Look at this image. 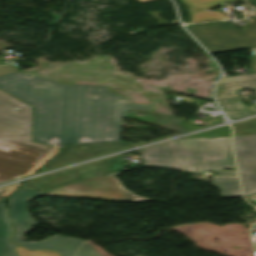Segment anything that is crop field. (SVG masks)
Segmentation results:
<instances>
[{
	"instance_id": "crop-field-6",
	"label": "crop field",
	"mask_w": 256,
	"mask_h": 256,
	"mask_svg": "<svg viewBox=\"0 0 256 256\" xmlns=\"http://www.w3.org/2000/svg\"><path fill=\"white\" fill-rule=\"evenodd\" d=\"M112 162L113 157L51 175L43 176L39 180L22 184V187L44 192L95 175L111 172Z\"/></svg>"
},
{
	"instance_id": "crop-field-13",
	"label": "crop field",
	"mask_w": 256,
	"mask_h": 256,
	"mask_svg": "<svg viewBox=\"0 0 256 256\" xmlns=\"http://www.w3.org/2000/svg\"><path fill=\"white\" fill-rule=\"evenodd\" d=\"M2 200L5 198H0V256H17L13 249L16 244L8 240L13 230Z\"/></svg>"
},
{
	"instance_id": "crop-field-24",
	"label": "crop field",
	"mask_w": 256,
	"mask_h": 256,
	"mask_svg": "<svg viewBox=\"0 0 256 256\" xmlns=\"http://www.w3.org/2000/svg\"><path fill=\"white\" fill-rule=\"evenodd\" d=\"M254 244H255V248H256V242Z\"/></svg>"
},
{
	"instance_id": "crop-field-14",
	"label": "crop field",
	"mask_w": 256,
	"mask_h": 256,
	"mask_svg": "<svg viewBox=\"0 0 256 256\" xmlns=\"http://www.w3.org/2000/svg\"><path fill=\"white\" fill-rule=\"evenodd\" d=\"M212 185L219 188L222 198L241 196L236 177H212Z\"/></svg>"
},
{
	"instance_id": "crop-field-3",
	"label": "crop field",
	"mask_w": 256,
	"mask_h": 256,
	"mask_svg": "<svg viewBox=\"0 0 256 256\" xmlns=\"http://www.w3.org/2000/svg\"><path fill=\"white\" fill-rule=\"evenodd\" d=\"M141 152L144 166L195 173L218 170V175H237L230 137L179 139ZM227 167L234 170L220 171Z\"/></svg>"
},
{
	"instance_id": "crop-field-9",
	"label": "crop field",
	"mask_w": 256,
	"mask_h": 256,
	"mask_svg": "<svg viewBox=\"0 0 256 256\" xmlns=\"http://www.w3.org/2000/svg\"><path fill=\"white\" fill-rule=\"evenodd\" d=\"M132 142H118L105 144H81V145H67L59 154L50 160L38 172L62 166L68 163L93 157L96 155L132 147ZM36 172V173H38Z\"/></svg>"
},
{
	"instance_id": "crop-field-2",
	"label": "crop field",
	"mask_w": 256,
	"mask_h": 256,
	"mask_svg": "<svg viewBox=\"0 0 256 256\" xmlns=\"http://www.w3.org/2000/svg\"><path fill=\"white\" fill-rule=\"evenodd\" d=\"M31 107L0 91V183L26 173L52 148L30 142Z\"/></svg>"
},
{
	"instance_id": "crop-field-17",
	"label": "crop field",
	"mask_w": 256,
	"mask_h": 256,
	"mask_svg": "<svg viewBox=\"0 0 256 256\" xmlns=\"http://www.w3.org/2000/svg\"><path fill=\"white\" fill-rule=\"evenodd\" d=\"M16 71L17 70L14 68L12 64L0 66V75L8 74Z\"/></svg>"
},
{
	"instance_id": "crop-field-12",
	"label": "crop field",
	"mask_w": 256,
	"mask_h": 256,
	"mask_svg": "<svg viewBox=\"0 0 256 256\" xmlns=\"http://www.w3.org/2000/svg\"><path fill=\"white\" fill-rule=\"evenodd\" d=\"M191 11L192 22H201L217 19H225L226 17L222 12L208 11V8H212L216 5L236 1V0H183Z\"/></svg>"
},
{
	"instance_id": "crop-field-21",
	"label": "crop field",
	"mask_w": 256,
	"mask_h": 256,
	"mask_svg": "<svg viewBox=\"0 0 256 256\" xmlns=\"http://www.w3.org/2000/svg\"><path fill=\"white\" fill-rule=\"evenodd\" d=\"M18 187H14L12 188L10 191H8L5 195H3L2 197H7L9 194H11L15 189H17Z\"/></svg>"
},
{
	"instance_id": "crop-field-16",
	"label": "crop field",
	"mask_w": 256,
	"mask_h": 256,
	"mask_svg": "<svg viewBox=\"0 0 256 256\" xmlns=\"http://www.w3.org/2000/svg\"><path fill=\"white\" fill-rule=\"evenodd\" d=\"M20 256H59L53 251H28L20 246L16 248Z\"/></svg>"
},
{
	"instance_id": "crop-field-8",
	"label": "crop field",
	"mask_w": 256,
	"mask_h": 256,
	"mask_svg": "<svg viewBox=\"0 0 256 256\" xmlns=\"http://www.w3.org/2000/svg\"><path fill=\"white\" fill-rule=\"evenodd\" d=\"M236 158L245 195L256 193V135L234 136Z\"/></svg>"
},
{
	"instance_id": "crop-field-7",
	"label": "crop field",
	"mask_w": 256,
	"mask_h": 256,
	"mask_svg": "<svg viewBox=\"0 0 256 256\" xmlns=\"http://www.w3.org/2000/svg\"><path fill=\"white\" fill-rule=\"evenodd\" d=\"M254 87L256 91V73L222 78L216 87V97L235 94V89ZM231 119L256 113V104L252 109L244 106L237 96L217 99ZM224 111V112H225Z\"/></svg>"
},
{
	"instance_id": "crop-field-5",
	"label": "crop field",
	"mask_w": 256,
	"mask_h": 256,
	"mask_svg": "<svg viewBox=\"0 0 256 256\" xmlns=\"http://www.w3.org/2000/svg\"><path fill=\"white\" fill-rule=\"evenodd\" d=\"M140 166L116 171L113 173L102 174L86 180H82L73 184H69L54 190L42 193L41 195L51 196H70L94 198L102 200H118V201H150L141 196L134 195L132 192L124 189L114 175L135 169Z\"/></svg>"
},
{
	"instance_id": "crop-field-23",
	"label": "crop field",
	"mask_w": 256,
	"mask_h": 256,
	"mask_svg": "<svg viewBox=\"0 0 256 256\" xmlns=\"http://www.w3.org/2000/svg\"><path fill=\"white\" fill-rule=\"evenodd\" d=\"M138 1L143 2V1H147V0H138Z\"/></svg>"
},
{
	"instance_id": "crop-field-11",
	"label": "crop field",
	"mask_w": 256,
	"mask_h": 256,
	"mask_svg": "<svg viewBox=\"0 0 256 256\" xmlns=\"http://www.w3.org/2000/svg\"><path fill=\"white\" fill-rule=\"evenodd\" d=\"M31 250L52 249L59 251L63 256H100L89 244L80 239L54 235L41 242L30 241L21 245Z\"/></svg>"
},
{
	"instance_id": "crop-field-10",
	"label": "crop field",
	"mask_w": 256,
	"mask_h": 256,
	"mask_svg": "<svg viewBox=\"0 0 256 256\" xmlns=\"http://www.w3.org/2000/svg\"><path fill=\"white\" fill-rule=\"evenodd\" d=\"M41 192L20 187L8 197L9 211L15 228L12 241L21 245L25 243L20 238L34 225L38 224L27 212V204Z\"/></svg>"
},
{
	"instance_id": "crop-field-22",
	"label": "crop field",
	"mask_w": 256,
	"mask_h": 256,
	"mask_svg": "<svg viewBox=\"0 0 256 256\" xmlns=\"http://www.w3.org/2000/svg\"><path fill=\"white\" fill-rule=\"evenodd\" d=\"M7 189H9V187H5V188L0 189V195H1L3 192H5Z\"/></svg>"
},
{
	"instance_id": "crop-field-15",
	"label": "crop field",
	"mask_w": 256,
	"mask_h": 256,
	"mask_svg": "<svg viewBox=\"0 0 256 256\" xmlns=\"http://www.w3.org/2000/svg\"><path fill=\"white\" fill-rule=\"evenodd\" d=\"M233 126L235 129L234 135L256 134V119Z\"/></svg>"
},
{
	"instance_id": "crop-field-19",
	"label": "crop field",
	"mask_w": 256,
	"mask_h": 256,
	"mask_svg": "<svg viewBox=\"0 0 256 256\" xmlns=\"http://www.w3.org/2000/svg\"><path fill=\"white\" fill-rule=\"evenodd\" d=\"M58 151V149L57 150H54L52 153H50L44 160H42L32 171H30L28 174H32V173H34L35 171H37L39 168H40V166L44 163V162H46L50 157H52L56 152ZM27 174V175H28Z\"/></svg>"
},
{
	"instance_id": "crop-field-20",
	"label": "crop field",
	"mask_w": 256,
	"mask_h": 256,
	"mask_svg": "<svg viewBox=\"0 0 256 256\" xmlns=\"http://www.w3.org/2000/svg\"><path fill=\"white\" fill-rule=\"evenodd\" d=\"M255 56L252 58L251 65L256 70V50L254 51Z\"/></svg>"
},
{
	"instance_id": "crop-field-1",
	"label": "crop field",
	"mask_w": 256,
	"mask_h": 256,
	"mask_svg": "<svg viewBox=\"0 0 256 256\" xmlns=\"http://www.w3.org/2000/svg\"><path fill=\"white\" fill-rule=\"evenodd\" d=\"M26 74L0 76V88L34 106L33 141L45 145L118 142L120 120L128 110H153L151 104L129 103L107 87L64 85Z\"/></svg>"
},
{
	"instance_id": "crop-field-4",
	"label": "crop field",
	"mask_w": 256,
	"mask_h": 256,
	"mask_svg": "<svg viewBox=\"0 0 256 256\" xmlns=\"http://www.w3.org/2000/svg\"><path fill=\"white\" fill-rule=\"evenodd\" d=\"M256 6V0H249ZM211 54L256 48V14L243 32L226 22L187 26Z\"/></svg>"
},
{
	"instance_id": "crop-field-18",
	"label": "crop field",
	"mask_w": 256,
	"mask_h": 256,
	"mask_svg": "<svg viewBox=\"0 0 256 256\" xmlns=\"http://www.w3.org/2000/svg\"><path fill=\"white\" fill-rule=\"evenodd\" d=\"M149 13L158 21L157 23H159V24H170L159 16V14L162 13L161 11L149 12Z\"/></svg>"
}]
</instances>
